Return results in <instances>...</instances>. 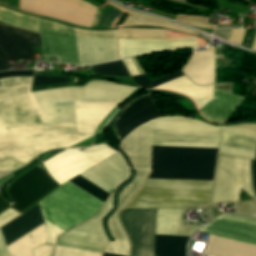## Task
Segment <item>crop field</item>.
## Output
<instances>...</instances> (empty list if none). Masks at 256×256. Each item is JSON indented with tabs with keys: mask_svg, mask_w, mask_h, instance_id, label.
I'll use <instances>...</instances> for the list:
<instances>
[{
	"mask_svg": "<svg viewBox=\"0 0 256 256\" xmlns=\"http://www.w3.org/2000/svg\"><path fill=\"white\" fill-rule=\"evenodd\" d=\"M153 127L220 134L222 127L186 117H160ZM153 128L152 144L217 150L220 135ZM152 145L149 178L212 180L217 151ZM147 179L126 208L157 209L156 234L190 236L188 203H209L212 181Z\"/></svg>",
	"mask_w": 256,
	"mask_h": 256,
	"instance_id": "8a807250",
	"label": "crop field"
},
{
	"mask_svg": "<svg viewBox=\"0 0 256 256\" xmlns=\"http://www.w3.org/2000/svg\"><path fill=\"white\" fill-rule=\"evenodd\" d=\"M33 70L6 71L1 77L32 76ZM32 77L0 79V122L5 127L75 121L74 100L121 103L136 88L105 81L83 87L30 92ZM69 83V78L35 76L33 85Z\"/></svg>",
	"mask_w": 256,
	"mask_h": 256,
	"instance_id": "ac0d7876",
	"label": "crop field"
},
{
	"mask_svg": "<svg viewBox=\"0 0 256 256\" xmlns=\"http://www.w3.org/2000/svg\"><path fill=\"white\" fill-rule=\"evenodd\" d=\"M118 103L75 101L77 122L6 128L0 135V171L24 166L46 151L64 148L94 135ZM29 163V162H28Z\"/></svg>",
	"mask_w": 256,
	"mask_h": 256,
	"instance_id": "34b2d1b8",
	"label": "crop field"
},
{
	"mask_svg": "<svg viewBox=\"0 0 256 256\" xmlns=\"http://www.w3.org/2000/svg\"><path fill=\"white\" fill-rule=\"evenodd\" d=\"M0 21L40 32L43 56L57 62L86 66L117 59V31L88 32L34 18L0 7Z\"/></svg>",
	"mask_w": 256,
	"mask_h": 256,
	"instance_id": "412701ff",
	"label": "crop field"
},
{
	"mask_svg": "<svg viewBox=\"0 0 256 256\" xmlns=\"http://www.w3.org/2000/svg\"><path fill=\"white\" fill-rule=\"evenodd\" d=\"M68 182L50 193L39 205L44 217L69 229L91 218L103 202ZM44 221L48 243L54 245L56 237L67 229L45 218Z\"/></svg>",
	"mask_w": 256,
	"mask_h": 256,
	"instance_id": "f4fd0767",
	"label": "crop field"
},
{
	"mask_svg": "<svg viewBox=\"0 0 256 256\" xmlns=\"http://www.w3.org/2000/svg\"><path fill=\"white\" fill-rule=\"evenodd\" d=\"M247 162L246 159L243 158L218 154L211 207H218V203L238 201L240 187L251 197L253 195V198H255L256 158L255 161L249 160L255 196L248 162L250 182L252 188L251 195ZM237 212L239 214L256 218V201L251 200L238 203Z\"/></svg>",
	"mask_w": 256,
	"mask_h": 256,
	"instance_id": "dd49c442",
	"label": "crop field"
},
{
	"mask_svg": "<svg viewBox=\"0 0 256 256\" xmlns=\"http://www.w3.org/2000/svg\"><path fill=\"white\" fill-rule=\"evenodd\" d=\"M21 10L86 27L95 7L81 0H22ZM120 13L109 5L96 9L88 27H110Z\"/></svg>",
	"mask_w": 256,
	"mask_h": 256,
	"instance_id": "e52e79f7",
	"label": "crop field"
},
{
	"mask_svg": "<svg viewBox=\"0 0 256 256\" xmlns=\"http://www.w3.org/2000/svg\"><path fill=\"white\" fill-rule=\"evenodd\" d=\"M11 173L0 179L2 184L13 177ZM60 186L39 163L14 178L6 187V194L13 203L11 208L24 213L43 200L50 192ZM10 208L0 194V214Z\"/></svg>",
	"mask_w": 256,
	"mask_h": 256,
	"instance_id": "d8731c3e",
	"label": "crop field"
},
{
	"mask_svg": "<svg viewBox=\"0 0 256 256\" xmlns=\"http://www.w3.org/2000/svg\"><path fill=\"white\" fill-rule=\"evenodd\" d=\"M113 153L115 152L104 144L91 146L80 152L78 149H66L43 165L61 185Z\"/></svg>",
	"mask_w": 256,
	"mask_h": 256,
	"instance_id": "5a996713",
	"label": "crop field"
},
{
	"mask_svg": "<svg viewBox=\"0 0 256 256\" xmlns=\"http://www.w3.org/2000/svg\"><path fill=\"white\" fill-rule=\"evenodd\" d=\"M131 246V256H153L156 210L124 209L119 215Z\"/></svg>",
	"mask_w": 256,
	"mask_h": 256,
	"instance_id": "3316defc",
	"label": "crop field"
},
{
	"mask_svg": "<svg viewBox=\"0 0 256 256\" xmlns=\"http://www.w3.org/2000/svg\"><path fill=\"white\" fill-rule=\"evenodd\" d=\"M136 176L133 181H131L127 186H125L120 195L118 200V206L116 212L111 215L108 220V228L109 232L114 241H111L106 249L105 252L126 255L129 256L130 252V243L118 222L117 215L120 210L127 206L139 188L142 186L145 178L149 174L150 170H142V171H135ZM104 253L103 256H120L114 254Z\"/></svg>",
	"mask_w": 256,
	"mask_h": 256,
	"instance_id": "28ad6ade",
	"label": "crop field"
},
{
	"mask_svg": "<svg viewBox=\"0 0 256 256\" xmlns=\"http://www.w3.org/2000/svg\"><path fill=\"white\" fill-rule=\"evenodd\" d=\"M37 45V34L0 25V71L11 68L6 60L33 58L32 46Z\"/></svg>",
	"mask_w": 256,
	"mask_h": 256,
	"instance_id": "d1516ede",
	"label": "crop field"
},
{
	"mask_svg": "<svg viewBox=\"0 0 256 256\" xmlns=\"http://www.w3.org/2000/svg\"><path fill=\"white\" fill-rule=\"evenodd\" d=\"M80 175L110 194L129 177L130 171L117 152Z\"/></svg>",
	"mask_w": 256,
	"mask_h": 256,
	"instance_id": "22f410ed",
	"label": "crop field"
},
{
	"mask_svg": "<svg viewBox=\"0 0 256 256\" xmlns=\"http://www.w3.org/2000/svg\"><path fill=\"white\" fill-rule=\"evenodd\" d=\"M223 131L256 136V124L225 126ZM218 153L254 160L256 138L223 132Z\"/></svg>",
	"mask_w": 256,
	"mask_h": 256,
	"instance_id": "cbeb9de0",
	"label": "crop field"
},
{
	"mask_svg": "<svg viewBox=\"0 0 256 256\" xmlns=\"http://www.w3.org/2000/svg\"><path fill=\"white\" fill-rule=\"evenodd\" d=\"M152 121L137 127L119 144L134 170L150 169Z\"/></svg>",
	"mask_w": 256,
	"mask_h": 256,
	"instance_id": "5142ce71",
	"label": "crop field"
},
{
	"mask_svg": "<svg viewBox=\"0 0 256 256\" xmlns=\"http://www.w3.org/2000/svg\"><path fill=\"white\" fill-rule=\"evenodd\" d=\"M160 116L151 96L147 95L134 101L117 117L115 131L122 140L138 125Z\"/></svg>",
	"mask_w": 256,
	"mask_h": 256,
	"instance_id": "d9b57169",
	"label": "crop field"
},
{
	"mask_svg": "<svg viewBox=\"0 0 256 256\" xmlns=\"http://www.w3.org/2000/svg\"><path fill=\"white\" fill-rule=\"evenodd\" d=\"M192 47H197V38L190 37L171 40L119 39V59L156 51Z\"/></svg>",
	"mask_w": 256,
	"mask_h": 256,
	"instance_id": "733c2abd",
	"label": "crop field"
},
{
	"mask_svg": "<svg viewBox=\"0 0 256 256\" xmlns=\"http://www.w3.org/2000/svg\"><path fill=\"white\" fill-rule=\"evenodd\" d=\"M219 218L256 226V220L235 216L222 215ZM215 218L199 231L221 235L229 238L256 243V227Z\"/></svg>",
	"mask_w": 256,
	"mask_h": 256,
	"instance_id": "4a817a6b",
	"label": "crop field"
},
{
	"mask_svg": "<svg viewBox=\"0 0 256 256\" xmlns=\"http://www.w3.org/2000/svg\"><path fill=\"white\" fill-rule=\"evenodd\" d=\"M215 67L214 47L207 51H193L192 56L183 67V72L198 85L213 83V69Z\"/></svg>",
	"mask_w": 256,
	"mask_h": 256,
	"instance_id": "bc2a9ffb",
	"label": "crop field"
},
{
	"mask_svg": "<svg viewBox=\"0 0 256 256\" xmlns=\"http://www.w3.org/2000/svg\"><path fill=\"white\" fill-rule=\"evenodd\" d=\"M243 97L214 89V99L208 102L200 112L214 122H224L237 108Z\"/></svg>",
	"mask_w": 256,
	"mask_h": 256,
	"instance_id": "214f88e0",
	"label": "crop field"
},
{
	"mask_svg": "<svg viewBox=\"0 0 256 256\" xmlns=\"http://www.w3.org/2000/svg\"><path fill=\"white\" fill-rule=\"evenodd\" d=\"M204 254L212 256H256V245L209 236Z\"/></svg>",
	"mask_w": 256,
	"mask_h": 256,
	"instance_id": "92a150f3",
	"label": "crop field"
},
{
	"mask_svg": "<svg viewBox=\"0 0 256 256\" xmlns=\"http://www.w3.org/2000/svg\"><path fill=\"white\" fill-rule=\"evenodd\" d=\"M42 223L39 206H36L1 228L6 244L9 245Z\"/></svg>",
	"mask_w": 256,
	"mask_h": 256,
	"instance_id": "dafd665d",
	"label": "crop field"
},
{
	"mask_svg": "<svg viewBox=\"0 0 256 256\" xmlns=\"http://www.w3.org/2000/svg\"><path fill=\"white\" fill-rule=\"evenodd\" d=\"M213 86L214 84L209 86H197L183 75L155 88L171 89L186 94L193 98L199 108H201L208 101L213 99Z\"/></svg>",
	"mask_w": 256,
	"mask_h": 256,
	"instance_id": "00972430",
	"label": "crop field"
},
{
	"mask_svg": "<svg viewBox=\"0 0 256 256\" xmlns=\"http://www.w3.org/2000/svg\"><path fill=\"white\" fill-rule=\"evenodd\" d=\"M109 240L66 232L57 245L103 253Z\"/></svg>",
	"mask_w": 256,
	"mask_h": 256,
	"instance_id": "a9b5d70f",
	"label": "crop field"
},
{
	"mask_svg": "<svg viewBox=\"0 0 256 256\" xmlns=\"http://www.w3.org/2000/svg\"><path fill=\"white\" fill-rule=\"evenodd\" d=\"M113 196L112 194L106 201L102 210L92 219L82 223L81 225L69 230V232L80 233L95 237L106 238L103 231L102 220L112 210L113 207Z\"/></svg>",
	"mask_w": 256,
	"mask_h": 256,
	"instance_id": "4177f3b9",
	"label": "crop field"
},
{
	"mask_svg": "<svg viewBox=\"0 0 256 256\" xmlns=\"http://www.w3.org/2000/svg\"><path fill=\"white\" fill-rule=\"evenodd\" d=\"M187 238L156 235L155 254H158V256H185Z\"/></svg>",
	"mask_w": 256,
	"mask_h": 256,
	"instance_id": "730fd06b",
	"label": "crop field"
},
{
	"mask_svg": "<svg viewBox=\"0 0 256 256\" xmlns=\"http://www.w3.org/2000/svg\"><path fill=\"white\" fill-rule=\"evenodd\" d=\"M109 4L130 13L128 18L126 19V21L124 22L123 25H153V26H163V27H167V28H171V29H175V30H179V31H183V32H187V33H194L196 34L197 32L185 27H182L180 25L174 24L172 22L160 19V18H156V17H151V16H146V15H142V14H138V13H134L131 12L125 8L119 7L111 2H108Z\"/></svg>",
	"mask_w": 256,
	"mask_h": 256,
	"instance_id": "eef30255",
	"label": "crop field"
},
{
	"mask_svg": "<svg viewBox=\"0 0 256 256\" xmlns=\"http://www.w3.org/2000/svg\"><path fill=\"white\" fill-rule=\"evenodd\" d=\"M118 38L166 39L165 29H118Z\"/></svg>",
	"mask_w": 256,
	"mask_h": 256,
	"instance_id": "ae1a2a85",
	"label": "crop field"
},
{
	"mask_svg": "<svg viewBox=\"0 0 256 256\" xmlns=\"http://www.w3.org/2000/svg\"><path fill=\"white\" fill-rule=\"evenodd\" d=\"M92 69L95 74L129 76L121 61L93 66Z\"/></svg>",
	"mask_w": 256,
	"mask_h": 256,
	"instance_id": "d3111659",
	"label": "crop field"
},
{
	"mask_svg": "<svg viewBox=\"0 0 256 256\" xmlns=\"http://www.w3.org/2000/svg\"><path fill=\"white\" fill-rule=\"evenodd\" d=\"M69 182L103 202L109 195L79 176H76L75 178L71 179Z\"/></svg>",
	"mask_w": 256,
	"mask_h": 256,
	"instance_id": "750c4746",
	"label": "crop field"
},
{
	"mask_svg": "<svg viewBox=\"0 0 256 256\" xmlns=\"http://www.w3.org/2000/svg\"><path fill=\"white\" fill-rule=\"evenodd\" d=\"M183 75V73H181L180 71L176 72V73H173L171 75H168V76H165L163 78H160L158 80H155L153 82L150 81V79L146 76V75H142V76H135V77H132V79L135 81V83L137 85H139L140 87L142 88H147V89H151L157 85H160L164 82H167L169 80H172L176 77H179Z\"/></svg>",
	"mask_w": 256,
	"mask_h": 256,
	"instance_id": "bd1437ed",
	"label": "crop field"
},
{
	"mask_svg": "<svg viewBox=\"0 0 256 256\" xmlns=\"http://www.w3.org/2000/svg\"><path fill=\"white\" fill-rule=\"evenodd\" d=\"M209 18L177 15V21L187 25H194L208 29H214L215 25L207 24Z\"/></svg>",
	"mask_w": 256,
	"mask_h": 256,
	"instance_id": "1d83c4d3",
	"label": "crop field"
},
{
	"mask_svg": "<svg viewBox=\"0 0 256 256\" xmlns=\"http://www.w3.org/2000/svg\"><path fill=\"white\" fill-rule=\"evenodd\" d=\"M54 256H102V254L57 246Z\"/></svg>",
	"mask_w": 256,
	"mask_h": 256,
	"instance_id": "120bbe31",
	"label": "crop field"
},
{
	"mask_svg": "<svg viewBox=\"0 0 256 256\" xmlns=\"http://www.w3.org/2000/svg\"><path fill=\"white\" fill-rule=\"evenodd\" d=\"M34 244L33 240H30L29 242L25 243L21 247L17 248L13 252L10 253L11 256H35L34 255Z\"/></svg>",
	"mask_w": 256,
	"mask_h": 256,
	"instance_id": "d32e631a",
	"label": "crop field"
},
{
	"mask_svg": "<svg viewBox=\"0 0 256 256\" xmlns=\"http://www.w3.org/2000/svg\"><path fill=\"white\" fill-rule=\"evenodd\" d=\"M32 238L34 240L35 247L39 246L38 240H37V237H36V234H35V230H33V231L29 232L28 234H26L25 236H23L22 238L15 241L14 243L7 246L9 252L16 249L17 247H19L20 245L24 244L25 242H27L28 240H30Z\"/></svg>",
	"mask_w": 256,
	"mask_h": 256,
	"instance_id": "5866460e",
	"label": "crop field"
},
{
	"mask_svg": "<svg viewBox=\"0 0 256 256\" xmlns=\"http://www.w3.org/2000/svg\"><path fill=\"white\" fill-rule=\"evenodd\" d=\"M244 32H245V30H233L232 29V32H231L228 40L235 44L240 45V43L243 40Z\"/></svg>",
	"mask_w": 256,
	"mask_h": 256,
	"instance_id": "028f5c9d",
	"label": "crop field"
},
{
	"mask_svg": "<svg viewBox=\"0 0 256 256\" xmlns=\"http://www.w3.org/2000/svg\"><path fill=\"white\" fill-rule=\"evenodd\" d=\"M53 250V246L43 245L34 249L36 256H51Z\"/></svg>",
	"mask_w": 256,
	"mask_h": 256,
	"instance_id": "e1f06a70",
	"label": "crop field"
},
{
	"mask_svg": "<svg viewBox=\"0 0 256 256\" xmlns=\"http://www.w3.org/2000/svg\"><path fill=\"white\" fill-rule=\"evenodd\" d=\"M18 215H20V214L12 211L10 209L7 210L6 212L2 213L0 215V227Z\"/></svg>",
	"mask_w": 256,
	"mask_h": 256,
	"instance_id": "0bd39190",
	"label": "crop field"
},
{
	"mask_svg": "<svg viewBox=\"0 0 256 256\" xmlns=\"http://www.w3.org/2000/svg\"><path fill=\"white\" fill-rule=\"evenodd\" d=\"M36 234L39 240V244L47 243L46 241V235H45V229H44V224L41 226L37 227L36 229Z\"/></svg>",
	"mask_w": 256,
	"mask_h": 256,
	"instance_id": "b80d0937",
	"label": "crop field"
},
{
	"mask_svg": "<svg viewBox=\"0 0 256 256\" xmlns=\"http://www.w3.org/2000/svg\"><path fill=\"white\" fill-rule=\"evenodd\" d=\"M123 62L125 64L128 72H129L130 76L138 75V73H137V71H136V69H135V67H134L130 58L124 59Z\"/></svg>",
	"mask_w": 256,
	"mask_h": 256,
	"instance_id": "c035e120",
	"label": "crop field"
},
{
	"mask_svg": "<svg viewBox=\"0 0 256 256\" xmlns=\"http://www.w3.org/2000/svg\"><path fill=\"white\" fill-rule=\"evenodd\" d=\"M0 256H9L1 230H0Z\"/></svg>",
	"mask_w": 256,
	"mask_h": 256,
	"instance_id": "c21b1889",
	"label": "crop field"
},
{
	"mask_svg": "<svg viewBox=\"0 0 256 256\" xmlns=\"http://www.w3.org/2000/svg\"><path fill=\"white\" fill-rule=\"evenodd\" d=\"M199 207H209V205L190 204L187 209H198Z\"/></svg>",
	"mask_w": 256,
	"mask_h": 256,
	"instance_id": "03da06ac",
	"label": "crop field"
},
{
	"mask_svg": "<svg viewBox=\"0 0 256 256\" xmlns=\"http://www.w3.org/2000/svg\"><path fill=\"white\" fill-rule=\"evenodd\" d=\"M7 133L5 127L0 123V134Z\"/></svg>",
	"mask_w": 256,
	"mask_h": 256,
	"instance_id": "b54c1fbb",
	"label": "crop field"
},
{
	"mask_svg": "<svg viewBox=\"0 0 256 256\" xmlns=\"http://www.w3.org/2000/svg\"><path fill=\"white\" fill-rule=\"evenodd\" d=\"M251 49L256 50V36H255V39H254V42H253V45H252Z\"/></svg>",
	"mask_w": 256,
	"mask_h": 256,
	"instance_id": "5d738f31",
	"label": "crop field"
},
{
	"mask_svg": "<svg viewBox=\"0 0 256 256\" xmlns=\"http://www.w3.org/2000/svg\"><path fill=\"white\" fill-rule=\"evenodd\" d=\"M240 25H236V28H239Z\"/></svg>",
	"mask_w": 256,
	"mask_h": 256,
	"instance_id": "d23c7cc5",
	"label": "crop field"
},
{
	"mask_svg": "<svg viewBox=\"0 0 256 256\" xmlns=\"http://www.w3.org/2000/svg\"><path fill=\"white\" fill-rule=\"evenodd\" d=\"M238 15H242V14H238Z\"/></svg>",
	"mask_w": 256,
	"mask_h": 256,
	"instance_id": "425ffa30",
	"label": "crop field"
}]
</instances>
